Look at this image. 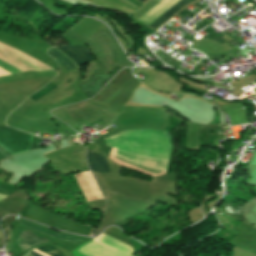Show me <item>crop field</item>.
I'll return each mask as SVG.
<instances>
[{"label":"crop field","instance_id":"crop-field-1","mask_svg":"<svg viewBox=\"0 0 256 256\" xmlns=\"http://www.w3.org/2000/svg\"><path fill=\"white\" fill-rule=\"evenodd\" d=\"M58 49L70 57L77 66L93 61L92 56L84 46L59 47Z\"/></svg>","mask_w":256,"mask_h":256},{"label":"crop field","instance_id":"crop-field-2","mask_svg":"<svg viewBox=\"0 0 256 256\" xmlns=\"http://www.w3.org/2000/svg\"><path fill=\"white\" fill-rule=\"evenodd\" d=\"M15 233L25 252L40 244L46 243L44 240L27 229L16 231Z\"/></svg>","mask_w":256,"mask_h":256},{"label":"crop field","instance_id":"crop-field-3","mask_svg":"<svg viewBox=\"0 0 256 256\" xmlns=\"http://www.w3.org/2000/svg\"><path fill=\"white\" fill-rule=\"evenodd\" d=\"M87 161L90 166V170L97 172H109L106 158L104 156L87 150Z\"/></svg>","mask_w":256,"mask_h":256},{"label":"crop field","instance_id":"crop-field-4","mask_svg":"<svg viewBox=\"0 0 256 256\" xmlns=\"http://www.w3.org/2000/svg\"><path fill=\"white\" fill-rule=\"evenodd\" d=\"M20 224H21V225H24V226H26V227L35 229V230H37V231H40V232L49 234V235H51V236L60 238V239H62V240L71 242V243L76 244V245H78L80 242L84 241V239H80V238H76V237H72V236H68V235H64V234L52 233V232H49V231H47V230H45V229H43V228H41V227L35 226V225H33V224H30V223H26V222H23V221H21Z\"/></svg>","mask_w":256,"mask_h":256},{"label":"crop field","instance_id":"crop-field-5","mask_svg":"<svg viewBox=\"0 0 256 256\" xmlns=\"http://www.w3.org/2000/svg\"><path fill=\"white\" fill-rule=\"evenodd\" d=\"M49 56H52L55 60L61 63L67 70L76 69L77 66L62 52L58 51L55 48H51L47 51Z\"/></svg>","mask_w":256,"mask_h":256},{"label":"crop field","instance_id":"crop-field-6","mask_svg":"<svg viewBox=\"0 0 256 256\" xmlns=\"http://www.w3.org/2000/svg\"><path fill=\"white\" fill-rule=\"evenodd\" d=\"M191 0H181L178 4H176L173 8H171L167 13H165L162 17H160L157 21H155L150 27L156 29L162 23H164L167 19L173 16L176 12H178L181 8H183L186 4H188Z\"/></svg>","mask_w":256,"mask_h":256},{"label":"crop field","instance_id":"crop-field-7","mask_svg":"<svg viewBox=\"0 0 256 256\" xmlns=\"http://www.w3.org/2000/svg\"><path fill=\"white\" fill-rule=\"evenodd\" d=\"M34 250L39 251V252L44 253V254H47L49 256H63V255H60V254H58L56 252H53L51 250H48V249H45V248H42V247H38V248H36ZM29 254H31L33 256H41L39 254H35V253H32V252H30Z\"/></svg>","mask_w":256,"mask_h":256},{"label":"crop field","instance_id":"crop-field-8","mask_svg":"<svg viewBox=\"0 0 256 256\" xmlns=\"http://www.w3.org/2000/svg\"><path fill=\"white\" fill-rule=\"evenodd\" d=\"M125 1H126V0H125ZM141 1H143V2H144L145 0H141ZM127 2H128V1H127ZM129 3H130V2H129ZM130 4H131V3H130ZM132 5H133V4H132ZM134 6H135V5H134ZM136 7H137V6H136Z\"/></svg>","mask_w":256,"mask_h":256}]
</instances>
